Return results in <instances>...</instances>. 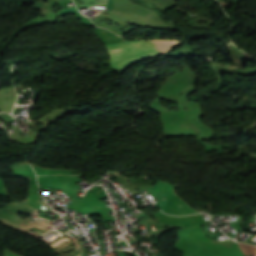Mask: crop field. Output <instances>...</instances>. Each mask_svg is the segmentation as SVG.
I'll return each instance as SVG.
<instances>
[{
    "instance_id": "crop-field-1",
    "label": "crop field",
    "mask_w": 256,
    "mask_h": 256,
    "mask_svg": "<svg viewBox=\"0 0 256 256\" xmlns=\"http://www.w3.org/2000/svg\"><path fill=\"white\" fill-rule=\"evenodd\" d=\"M106 47L110 54L112 69L121 72L140 60L161 55L153 42L147 40H128Z\"/></svg>"
},
{
    "instance_id": "crop-field-2",
    "label": "crop field",
    "mask_w": 256,
    "mask_h": 256,
    "mask_svg": "<svg viewBox=\"0 0 256 256\" xmlns=\"http://www.w3.org/2000/svg\"><path fill=\"white\" fill-rule=\"evenodd\" d=\"M154 42L158 50L162 54L166 53L167 51H169L170 49H172L173 47L181 43V42L171 41V40H163V41L156 40Z\"/></svg>"
},
{
    "instance_id": "crop-field-3",
    "label": "crop field",
    "mask_w": 256,
    "mask_h": 256,
    "mask_svg": "<svg viewBox=\"0 0 256 256\" xmlns=\"http://www.w3.org/2000/svg\"><path fill=\"white\" fill-rule=\"evenodd\" d=\"M238 245H239L241 251L244 253V255H249L251 253L256 252L255 246L245 245V244H241V243H238Z\"/></svg>"
}]
</instances>
